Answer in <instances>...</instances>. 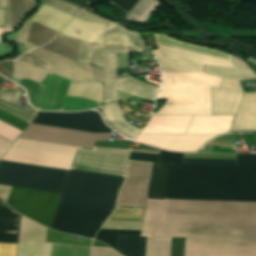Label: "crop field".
Instances as JSON below:
<instances>
[{"instance_id": "obj_16", "label": "crop field", "mask_w": 256, "mask_h": 256, "mask_svg": "<svg viewBox=\"0 0 256 256\" xmlns=\"http://www.w3.org/2000/svg\"><path fill=\"white\" fill-rule=\"evenodd\" d=\"M164 200L147 199L141 236H147L146 256H169L171 238H157Z\"/></svg>"}, {"instance_id": "obj_6", "label": "crop field", "mask_w": 256, "mask_h": 256, "mask_svg": "<svg viewBox=\"0 0 256 256\" xmlns=\"http://www.w3.org/2000/svg\"><path fill=\"white\" fill-rule=\"evenodd\" d=\"M71 83L50 73L42 84L26 79H19L17 84L27 90L30 104L38 110L80 111L100 106L82 98L65 97Z\"/></svg>"}, {"instance_id": "obj_31", "label": "crop field", "mask_w": 256, "mask_h": 256, "mask_svg": "<svg viewBox=\"0 0 256 256\" xmlns=\"http://www.w3.org/2000/svg\"><path fill=\"white\" fill-rule=\"evenodd\" d=\"M56 34L57 32L33 22L26 41L40 46L48 43Z\"/></svg>"}, {"instance_id": "obj_25", "label": "crop field", "mask_w": 256, "mask_h": 256, "mask_svg": "<svg viewBox=\"0 0 256 256\" xmlns=\"http://www.w3.org/2000/svg\"><path fill=\"white\" fill-rule=\"evenodd\" d=\"M66 96H75L103 103V86L96 82H80L69 86Z\"/></svg>"}, {"instance_id": "obj_40", "label": "crop field", "mask_w": 256, "mask_h": 256, "mask_svg": "<svg viewBox=\"0 0 256 256\" xmlns=\"http://www.w3.org/2000/svg\"><path fill=\"white\" fill-rule=\"evenodd\" d=\"M0 120L23 131L27 126L28 124L0 111Z\"/></svg>"}, {"instance_id": "obj_15", "label": "crop field", "mask_w": 256, "mask_h": 256, "mask_svg": "<svg viewBox=\"0 0 256 256\" xmlns=\"http://www.w3.org/2000/svg\"><path fill=\"white\" fill-rule=\"evenodd\" d=\"M20 60H23L27 63H30L32 65H35L39 68H42L46 70L49 65H51L47 71L52 72L54 74H57L59 76H62L64 78H67L69 80H72L74 82H80V81H94L92 79H89L87 77H84L80 74H77L75 72H72L70 70H67L65 68H62L60 66H57L55 64H52L49 62V65L47 61L40 59L38 57H35L33 55H30L28 53H25L23 56L18 58ZM13 60V74L12 78H26L33 81H37L42 83L44 78L48 75V72L41 70L37 67H34L32 65H29L25 62H22L20 60Z\"/></svg>"}, {"instance_id": "obj_8", "label": "crop field", "mask_w": 256, "mask_h": 256, "mask_svg": "<svg viewBox=\"0 0 256 256\" xmlns=\"http://www.w3.org/2000/svg\"><path fill=\"white\" fill-rule=\"evenodd\" d=\"M68 171L0 161V184L61 193Z\"/></svg>"}, {"instance_id": "obj_47", "label": "crop field", "mask_w": 256, "mask_h": 256, "mask_svg": "<svg viewBox=\"0 0 256 256\" xmlns=\"http://www.w3.org/2000/svg\"><path fill=\"white\" fill-rule=\"evenodd\" d=\"M31 23H32L31 21H28V20L26 21L25 25L19 31L16 41L22 42V43L25 42Z\"/></svg>"}, {"instance_id": "obj_14", "label": "crop field", "mask_w": 256, "mask_h": 256, "mask_svg": "<svg viewBox=\"0 0 256 256\" xmlns=\"http://www.w3.org/2000/svg\"><path fill=\"white\" fill-rule=\"evenodd\" d=\"M184 256H256V241L185 239Z\"/></svg>"}, {"instance_id": "obj_11", "label": "crop field", "mask_w": 256, "mask_h": 256, "mask_svg": "<svg viewBox=\"0 0 256 256\" xmlns=\"http://www.w3.org/2000/svg\"><path fill=\"white\" fill-rule=\"evenodd\" d=\"M109 214L108 212L58 204L50 228L92 238Z\"/></svg>"}, {"instance_id": "obj_34", "label": "crop field", "mask_w": 256, "mask_h": 256, "mask_svg": "<svg viewBox=\"0 0 256 256\" xmlns=\"http://www.w3.org/2000/svg\"><path fill=\"white\" fill-rule=\"evenodd\" d=\"M0 110L30 124V122L33 120V118L35 117L34 112H30L27 110H23L20 108H17L11 104H8L2 100H0Z\"/></svg>"}, {"instance_id": "obj_44", "label": "crop field", "mask_w": 256, "mask_h": 256, "mask_svg": "<svg viewBox=\"0 0 256 256\" xmlns=\"http://www.w3.org/2000/svg\"><path fill=\"white\" fill-rule=\"evenodd\" d=\"M92 256H121L110 248L93 247Z\"/></svg>"}, {"instance_id": "obj_18", "label": "crop field", "mask_w": 256, "mask_h": 256, "mask_svg": "<svg viewBox=\"0 0 256 256\" xmlns=\"http://www.w3.org/2000/svg\"><path fill=\"white\" fill-rule=\"evenodd\" d=\"M28 53L56 63L99 82L102 80V68L76 63L41 48L32 50Z\"/></svg>"}, {"instance_id": "obj_52", "label": "crop field", "mask_w": 256, "mask_h": 256, "mask_svg": "<svg viewBox=\"0 0 256 256\" xmlns=\"http://www.w3.org/2000/svg\"><path fill=\"white\" fill-rule=\"evenodd\" d=\"M4 24V9H0V27Z\"/></svg>"}, {"instance_id": "obj_3", "label": "crop field", "mask_w": 256, "mask_h": 256, "mask_svg": "<svg viewBox=\"0 0 256 256\" xmlns=\"http://www.w3.org/2000/svg\"><path fill=\"white\" fill-rule=\"evenodd\" d=\"M121 28L116 24H107L104 35V45H94L79 41L78 62L102 67L104 52L119 53ZM127 45L135 50L145 45L137 34H132L122 29L120 53H128ZM116 55H105L103 64L104 103L114 101L116 89ZM158 87L145 84L132 77L117 80V89L129 95L154 100ZM117 90V91H118Z\"/></svg>"}, {"instance_id": "obj_26", "label": "crop field", "mask_w": 256, "mask_h": 256, "mask_svg": "<svg viewBox=\"0 0 256 256\" xmlns=\"http://www.w3.org/2000/svg\"><path fill=\"white\" fill-rule=\"evenodd\" d=\"M77 44V40L68 38L62 34H58L48 45L41 48L47 49L65 58L76 61Z\"/></svg>"}, {"instance_id": "obj_1", "label": "crop field", "mask_w": 256, "mask_h": 256, "mask_svg": "<svg viewBox=\"0 0 256 256\" xmlns=\"http://www.w3.org/2000/svg\"><path fill=\"white\" fill-rule=\"evenodd\" d=\"M183 156L161 150L168 182L256 184V155L236 154L237 166L182 164ZM165 199L256 201V185L168 183ZM185 200H165L158 237L256 240V202Z\"/></svg>"}, {"instance_id": "obj_50", "label": "crop field", "mask_w": 256, "mask_h": 256, "mask_svg": "<svg viewBox=\"0 0 256 256\" xmlns=\"http://www.w3.org/2000/svg\"><path fill=\"white\" fill-rule=\"evenodd\" d=\"M119 66L120 67L129 66V57H128V55L119 54Z\"/></svg>"}, {"instance_id": "obj_42", "label": "crop field", "mask_w": 256, "mask_h": 256, "mask_svg": "<svg viewBox=\"0 0 256 256\" xmlns=\"http://www.w3.org/2000/svg\"><path fill=\"white\" fill-rule=\"evenodd\" d=\"M20 92H21L20 87L16 88L13 91V93H9L0 89V99L16 105Z\"/></svg>"}, {"instance_id": "obj_53", "label": "crop field", "mask_w": 256, "mask_h": 256, "mask_svg": "<svg viewBox=\"0 0 256 256\" xmlns=\"http://www.w3.org/2000/svg\"><path fill=\"white\" fill-rule=\"evenodd\" d=\"M0 74L6 76L7 78L10 79L11 73L0 67Z\"/></svg>"}, {"instance_id": "obj_48", "label": "crop field", "mask_w": 256, "mask_h": 256, "mask_svg": "<svg viewBox=\"0 0 256 256\" xmlns=\"http://www.w3.org/2000/svg\"><path fill=\"white\" fill-rule=\"evenodd\" d=\"M11 188L12 187H8V186H1L0 185V198L3 200V201H7L8 199V196H9V193L11 191Z\"/></svg>"}, {"instance_id": "obj_46", "label": "crop field", "mask_w": 256, "mask_h": 256, "mask_svg": "<svg viewBox=\"0 0 256 256\" xmlns=\"http://www.w3.org/2000/svg\"><path fill=\"white\" fill-rule=\"evenodd\" d=\"M16 245L0 244V256H14Z\"/></svg>"}, {"instance_id": "obj_5", "label": "crop field", "mask_w": 256, "mask_h": 256, "mask_svg": "<svg viewBox=\"0 0 256 256\" xmlns=\"http://www.w3.org/2000/svg\"><path fill=\"white\" fill-rule=\"evenodd\" d=\"M122 180L70 170L59 203L112 212Z\"/></svg>"}, {"instance_id": "obj_2", "label": "crop field", "mask_w": 256, "mask_h": 256, "mask_svg": "<svg viewBox=\"0 0 256 256\" xmlns=\"http://www.w3.org/2000/svg\"><path fill=\"white\" fill-rule=\"evenodd\" d=\"M154 54L162 72H202L204 64L234 67L231 55L154 34ZM220 78L204 73H163L156 99L189 98L190 115H211L209 87ZM235 116H150L134 141L156 148L192 152L229 133Z\"/></svg>"}, {"instance_id": "obj_41", "label": "crop field", "mask_w": 256, "mask_h": 256, "mask_svg": "<svg viewBox=\"0 0 256 256\" xmlns=\"http://www.w3.org/2000/svg\"><path fill=\"white\" fill-rule=\"evenodd\" d=\"M132 150L159 153V151L136 150V149H132ZM158 158H159V155H155V154H145V153H135V152H131L129 159H134V160H146V161H155V162H158Z\"/></svg>"}, {"instance_id": "obj_9", "label": "crop field", "mask_w": 256, "mask_h": 256, "mask_svg": "<svg viewBox=\"0 0 256 256\" xmlns=\"http://www.w3.org/2000/svg\"><path fill=\"white\" fill-rule=\"evenodd\" d=\"M204 73L222 78L218 89L210 88L212 115H235L243 91L239 80L255 79L251 69H232L205 65Z\"/></svg>"}, {"instance_id": "obj_39", "label": "crop field", "mask_w": 256, "mask_h": 256, "mask_svg": "<svg viewBox=\"0 0 256 256\" xmlns=\"http://www.w3.org/2000/svg\"><path fill=\"white\" fill-rule=\"evenodd\" d=\"M184 163L235 165V160L184 158Z\"/></svg>"}, {"instance_id": "obj_28", "label": "crop field", "mask_w": 256, "mask_h": 256, "mask_svg": "<svg viewBox=\"0 0 256 256\" xmlns=\"http://www.w3.org/2000/svg\"><path fill=\"white\" fill-rule=\"evenodd\" d=\"M146 237L120 236L118 252L124 256H145Z\"/></svg>"}, {"instance_id": "obj_45", "label": "crop field", "mask_w": 256, "mask_h": 256, "mask_svg": "<svg viewBox=\"0 0 256 256\" xmlns=\"http://www.w3.org/2000/svg\"><path fill=\"white\" fill-rule=\"evenodd\" d=\"M115 3L118 7L122 8L124 11L129 12L132 7L137 3L138 0H109Z\"/></svg>"}, {"instance_id": "obj_22", "label": "crop field", "mask_w": 256, "mask_h": 256, "mask_svg": "<svg viewBox=\"0 0 256 256\" xmlns=\"http://www.w3.org/2000/svg\"><path fill=\"white\" fill-rule=\"evenodd\" d=\"M20 215L0 200V242L17 243Z\"/></svg>"}, {"instance_id": "obj_35", "label": "crop field", "mask_w": 256, "mask_h": 256, "mask_svg": "<svg viewBox=\"0 0 256 256\" xmlns=\"http://www.w3.org/2000/svg\"><path fill=\"white\" fill-rule=\"evenodd\" d=\"M143 208H122L118 207L110 218L111 220H135L141 221Z\"/></svg>"}, {"instance_id": "obj_21", "label": "crop field", "mask_w": 256, "mask_h": 256, "mask_svg": "<svg viewBox=\"0 0 256 256\" xmlns=\"http://www.w3.org/2000/svg\"><path fill=\"white\" fill-rule=\"evenodd\" d=\"M34 0H0V8H5L4 27H16L20 19L30 10ZM13 28H0V35ZM1 42V41H0Z\"/></svg>"}, {"instance_id": "obj_19", "label": "crop field", "mask_w": 256, "mask_h": 256, "mask_svg": "<svg viewBox=\"0 0 256 256\" xmlns=\"http://www.w3.org/2000/svg\"><path fill=\"white\" fill-rule=\"evenodd\" d=\"M256 131V94L245 93L231 131Z\"/></svg>"}, {"instance_id": "obj_4", "label": "crop field", "mask_w": 256, "mask_h": 256, "mask_svg": "<svg viewBox=\"0 0 256 256\" xmlns=\"http://www.w3.org/2000/svg\"><path fill=\"white\" fill-rule=\"evenodd\" d=\"M34 124L73 129L86 132H111L94 111L79 113L38 112ZM30 124L22 138L93 148L95 141L109 140L110 133L93 134Z\"/></svg>"}, {"instance_id": "obj_32", "label": "crop field", "mask_w": 256, "mask_h": 256, "mask_svg": "<svg viewBox=\"0 0 256 256\" xmlns=\"http://www.w3.org/2000/svg\"><path fill=\"white\" fill-rule=\"evenodd\" d=\"M51 256H90V248L53 243Z\"/></svg>"}, {"instance_id": "obj_24", "label": "crop field", "mask_w": 256, "mask_h": 256, "mask_svg": "<svg viewBox=\"0 0 256 256\" xmlns=\"http://www.w3.org/2000/svg\"><path fill=\"white\" fill-rule=\"evenodd\" d=\"M169 166L168 163L153 162L148 198L164 199Z\"/></svg>"}, {"instance_id": "obj_37", "label": "crop field", "mask_w": 256, "mask_h": 256, "mask_svg": "<svg viewBox=\"0 0 256 256\" xmlns=\"http://www.w3.org/2000/svg\"><path fill=\"white\" fill-rule=\"evenodd\" d=\"M142 222L106 221L102 229L141 230Z\"/></svg>"}, {"instance_id": "obj_54", "label": "crop field", "mask_w": 256, "mask_h": 256, "mask_svg": "<svg viewBox=\"0 0 256 256\" xmlns=\"http://www.w3.org/2000/svg\"><path fill=\"white\" fill-rule=\"evenodd\" d=\"M34 47H37V46L26 42L25 46H24V49L25 50H29V49L34 48Z\"/></svg>"}, {"instance_id": "obj_23", "label": "crop field", "mask_w": 256, "mask_h": 256, "mask_svg": "<svg viewBox=\"0 0 256 256\" xmlns=\"http://www.w3.org/2000/svg\"><path fill=\"white\" fill-rule=\"evenodd\" d=\"M98 111L102 114L105 122L108 125L112 126L125 136L133 139L135 133L138 131V128L127 124L116 102L104 105L98 108ZM116 121L117 123H115Z\"/></svg>"}, {"instance_id": "obj_13", "label": "crop field", "mask_w": 256, "mask_h": 256, "mask_svg": "<svg viewBox=\"0 0 256 256\" xmlns=\"http://www.w3.org/2000/svg\"><path fill=\"white\" fill-rule=\"evenodd\" d=\"M152 162L129 160L117 206L145 207Z\"/></svg>"}, {"instance_id": "obj_36", "label": "crop field", "mask_w": 256, "mask_h": 256, "mask_svg": "<svg viewBox=\"0 0 256 256\" xmlns=\"http://www.w3.org/2000/svg\"><path fill=\"white\" fill-rule=\"evenodd\" d=\"M41 1L47 5H50L54 8L62 10V11L69 13L73 16L77 15L81 10H83L82 8H80L76 5L67 3L63 0H41Z\"/></svg>"}, {"instance_id": "obj_51", "label": "crop field", "mask_w": 256, "mask_h": 256, "mask_svg": "<svg viewBox=\"0 0 256 256\" xmlns=\"http://www.w3.org/2000/svg\"><path fill=\"white\" fill-rule=\"evenodd\" d=\"M233 59H234L236 68H249L245 62H243L235 57H233Z\"/></svg>"}, {"instance_id": "obj_38", "label": "crop field", "mask_w": 256, "mask_h": 256, "mask_svg": "<svg viewBox=\"0 0 256 256\" xmlns=\"http://www.w3.org/2000/svg\"><path fill=\"white\" fill-rule=\"evenodd\" d=\"M21 131L0 121V136L14 142Z\"/></svg>"}, {"instance_id": "obj_43", "label": "crop field", "mask_w": 256, "mask_h": 256, "mask_svg": "<svg viewBox=\"0 0 256 256\" xmlns=\"http://www.w3.org/2000/svg\"><path fill=\"white\" fill-rule=\"evenodd\" d=\"M77 18L79 19H83V20H89V21H95V22H99V23H112L96 14H93L91 12H88L86 10H83L78 16Z\"/></svg>"}, {"instance_id": "obj_10", "label": "crop field", "mask_w": 256, "mask_h": 256, "mask_svg": "<svg viewBox=\"0 0 256 256\" xmlns=\"http://www.w3.org/2000/svg\"><path fill=\"white\" fill-rule=\"evenodd\" d=\"M130 149L78 148L70 169L124 177Z\"/></svg>"}, {"instance_id": "obj_20", "label": "crop field", "mask_w": 256, "mask_h": 256, "mask_svg": "<svg viewBox=\"0 0 256 256\" xmlns=\"http://www.w3.org/2000/svg\"><path fill=\"white\" fill-rule=\"evenodd\" d=\"M72 18L73 16L42 3L29 20L59 32Z\"/></svg>"}, {"instance_id": "obj_49", "label": "crop field", "mask_w": 256, "mask_h": 256, "mask_svg": "<svg viewBox=\"0 0 256 256\" xmlns=\"http://www.w3.org/2000/svg\"><path fill=\"white\" fill-rule=\"evenodd\" d=\"M11 144L12 142L0 137V158L6 152V150L9 148Z\"/></svg>"}, {"instance_id": "obj_29", "label": "crop field", "mask_w": 256, "mask_h": 256, "mask_svg": "<svg viewBox=\"0 0 256 256\" xmlns=\"http://www.w3.org/2000/svg\"><path fill=\"white\" fill-rule=\"evenodd\" d=\"M52 243L18 241L16 256H50Z\"/></svg>"}, {"instance_id": "obj_27", "label": "crop field", "mask_w": 256, "mask_h": 256, "mask_svg": "<svg viewBox=\"0 0 256 256\" xmlns=\"http://www.w3.org/2000/svg\"><path fill=\"white\" fill-rule=\"evenodd\" d=\"M47 229L21 216L19 239L25 241L45 242Z\"/></svg>"}, {"instance_id": "obj_12", "label": "crop field", "mask_w": 256, "mask_h": 256, "mask_svg": "<svg viewBox=\"0 0 256 256\" xmlns=\"http://www.w3.org/2000/svg\"><path fill=\"white\" fill-rule=\"evenodd\" d=\"M33 191L13 187L7 204L26 215ZM60 195L35 190L26 217L50 227Z\"/></svg>"}, {"instance_id": "obj_30", "label": "crop field", "mask_w": 256, "mask_h": 256, "mask_svg": "<svg viewBox=\"0 0 256 256\" xmlns=\"http://www.w3.org/2000/svg\"><path fill=\"white\" fill-rule=\"evenodd\" d=\"M160 3L157 0H140L127 15V20L137 23H145L148 16Z\"/></svg>"}, {"instance_id": "obj_33", "label": "crop field", "mask_w": 256, "mask_h": 256, "mask_svg": "<svg viewBox=\"0 0 256 256\" xmlns=\"http://www.w3.org/2000/svg\"><path fill=\"white\" fill-rule=\"evenodd\" d=\"M141 231L100 230L94 239L105 242L117 250L118 235H140Z\"/></svg>"}, {"instance_id": "obj_17", "label": "crop field", "mask_w": 256, "mask_h": 256, "mask_svg": "<svg viewBox=\"0 0 256 256\" xmlns=\"http://www.w3.org/2000/svg\"><path fill=\"white\" fill-rule=\"evenodd\" d=\"M106 24L82 21L75 18L61 33L76 39L94 44H103V33ZM79 32V34H77Z\"/></svg>"}, {"instance_id": "obj_7", "label": "crop field", "mask_w": 256, "mask_h": 256, "mask_svg": "<svg viewBox=\"0 0 256 256\" xmlns=\"http://www.w3.org/2000/svg\"><path fill=\"white\" fill-rule=\"evenodd\" d=\"M76 148L18 138L1 160L69 170Z\"/></svg>"}]
</instances>
